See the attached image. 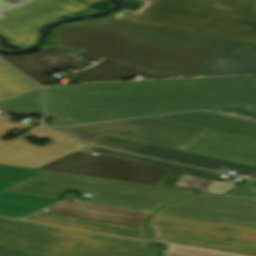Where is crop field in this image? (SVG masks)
<instances>
[{"mask_svg":"<svg viewBox=\"0 0 256 256\" xmlns=\"http://www.w3.org/2000/svg\"><path fill=\"white\" fill-rule=\"evenodd\" d=\"M92 12L96 11L73 0H33L0 12L5 17L0 20V35L23 49L37 40V31L47 23L57 18Z\"/></svg>","mask_w":256,"mask_h":256,"instance_id":"9","label":"crop field"},{"mask_svg":"<svg viewBox=\"0 0 256 256\" xmlns=\"http://www.w3.org/2000/svg\"><path fill=\"white\" fill-rule=\"evenodd\" d=\"M154 252H155V251H154ZM155 255H156V256H159L156 252H155Z\"/></svg>","mask_w":256,"mask_h":256,"instance_id":"30","label":"crop field"},{"mask_svg":"<svg viewBox=\"0 0 256 256\" xmlns=\"http://www.w3.org/2000/svg\"><path fill=\"white\" fill-rule=\"evenodd\" d=\"M156 215L256 228V200L199 192Z\"/></svg>","mask_w":256,"mask_h":256,"instance_id":"10","label":"crop field"},{"mask_svg":"<svg viewBox=\"0 0 256 256\" xmlns=\"http://www.w3.org/2000/svg\"><path fill=\"white\" fill-rule=\"evenodd\" d=\"M156 117L201 127H208L224 132L256 137V122L208 113L204 111Z\"/></svg>","mask_w":256,"mask_h":256,"instance_id":"18","label":"crop field"},{"mask_svg":"<svg viewBox=\"0 0 256 256\" xmlns=\"http://www.w3.org/2000/svg\"><path fill=\"white\" fill-rule=\"evenodd\" d=\"M1 59L15 66L38 84L53 82L43 74L55 70L61 66L80 68L88 65L87 63L73 57L55 46H48L32 56H1Z\"/></svg>","mask_w":256,"mask_h":256,"instance_id":"16","label":"crop field"},{"mask_svg":"<svg viewBox=\"0 0 256 256\" xmlns=\"http://www.w3.org/2000/svg\"><path fill=\"white\" fill-rule=\"evenodd\" d=\"M226 195L256 199V180L248 179Z\"/></svg>","mask_w":256,"mask_h":256,"instance_id":"23","label":"crop field"},{"mask_svg":"<svg viewBox=\"0 0 256 256\" xmlns=\"http://www.w3.org/2000/svg\"><path fill=\"white\" fill-rule=\"evenodd\" d=\"M252 179H256V175L252 177Z\"/></svg>","mask_w":256,"mask_h":256,"instance_id":"29","label":"crop field"},{"mask_svg":"<svg viewBox=\"0 0 256 256\" xmlns=\"http://www.w3.org/2000/svg\"><path fill=\"white\" fill-rule=\"evenodd\" d=\"M153 216H154V215H153ZM151 218H152V217H151ZM150 220H151V219H150ZM149 222H150V221H149ZM146 226H147V224H146ZM147 231H148L149 242H152V243H150L151 246H152L153 248H155V249L159 252V249H158L157 247H154V246H153V244L155 243V241L152 240V239L154 238V232H153V233L151 232V231H153V229L147 226Z\"/></svg>","mask_w":256,"mask_h":256,"instance_id":"25","label":"crop field"},{"mask_svg":"<svg viewBox=\"0 0 256 256\" xmlns=\"http://www.w3.org/2000/svg\"><path fill=\"white\" fill-rule=\"evenodd\" d=\"M52 129L87 143L100 134H108L179 150L204 130L151 118Z\"/></svg>","mask_w":256,"mask_h":256,"instance_id":"7","label":"crop field"},{"mask_svg":"<svg viewBox=\"0 0 256 256\" xmlns=\"http://www.w3.org/2000/svg\"><path fill=\"white\" fill-rule=\"evenodd\" d=\"M183 150L256 165V138L224 133L208 128Z\"/></svg>","mask_w":256,"mask_h":256,"instance_id":"15","label":"crop field"},{"mask_svg":"<svg viewBox=\"0 0 256 256\" xmlns=\"http://www.w3.org/2000/svg\"><path fill=\"white\" fill-rule=\"evenodd\" d=\"M36 86L25 76L0 61V100Z\"/></svg>","mask_w":256,"mask_h":256,"instance_id":"20","label":"crop field"},{"mask_svg":"<svg viewBox=\"0 0 256 256\" xmlns=\"http://www.w3.org/2000/svg\"><path fill=\"white\" fill-rule=\"evenodd\" d=\"M11 114L29 116L43 112L41 89L20 95L0 103Z\"/></svg>","mask_w":256,"mask_h":256,"instance_id":"21","label":"crop field"},{"mask_svg":"<svg viewBox=\"0 0 256 256\" xmlns=\"http://www.w3.org/2000/svg\"><path fill=\"white\" fill-rule=\"evenodd\" d=\"M7 6H10V5H8V4H6V3L0 1V9H1V8H4V7H7Z\"/></svg>","mask_w":256,"mask_h":256,"instance_id":"27","label":"crop field"},{"mask_svg":"<svg viewBox=\"0 0 256 256\" xmlns=\"http://www.w3.org/2000/svg\"><path fill=\"white\" fill-rule=\"evenodd\" d=\"M10 120L0 115V139L10 130L24 127ZM29 131L35 138L39 140L45 138L51 143L42 147L32 145L24 139L29 137L28 133L10 141L0 140V163L36 168L85 146V144L45 128L34 127Z\"/></svg>","mask_w":256,"mask_h":256,"instance_id":"11","label":"crop field"},{"mask_svg":"<svg viewBox=\"0 0 256 256\" xmlns=\"http://www.w3.org/2000/svg\"><path fill=\"white\" fill-rule=\"evenodd\" d=\"M94 194L86 202L154 213L194 191L53 172L12 192L56 199L66 191Z\"/></svg>","mask_w":256,"mask_h":256,"instance_id":"5","label":"crop field"},{"mask_svg":"<svg viewBox=\"0 0 256 256\" xmlns=\"http://www.w3.org/2000/svg\"><path fill=\"white\" fill-rule=\"evenodd\" d=\"M210 111L256 120V108L248 106H232L210 109Z\"/></svg>","mask_w":256,"mask_h":256,"instance_id":"22","label":"crop field"},{"mask_svg":"<svg viewBox=\"0 0 256 256\" xmlns=\"http://www.w3.org/2000/svg\"><path fill=\"white\" fill-rule=\"evenodd\" d=\"M86 147L77 150L74 155L49 162L38 169L58 171L76 175L157 185L167 171L166 168L108 157L104 155H90L84 153ZM83 154L82 157L78 156Z\"/></svg>","mask_w":256,"mask_h":256,"instance_id":"8","label":"crop field"},{"mask_svg":"<svg viewBox=\"0 0 256 256\" xmlns=\"http://www.w3.org/2000/svg\"><path fill=\"white\" fill-rule=\"evenodd\" d=\"M131 20L256 43V0H147Z\"/></svg>","mask_w":256,"mask_h":256,"instance_id":"4","label":"crop field"},{"mask_svg":"<svg viewBox=\"0 0 256 256\" xmlns=\"http://www.w3.org/2000/svg\"><path fill=\"white\" fill-rule=\"evenodd\" d=\"M0 256L155 255L143 229L37 212L0 218Z\"/></svg>","mask_w":256,"mask_h":256,"instance_id":"3","label":"crop field"},{"mask_svg":"<svg viewBox=\"0 0 256 256\" xmlns=\"http://www.w3.org/2000/svg\"><path fill=\"white\" fill-rule=\"evenodd\" d=\"M135 72L109 63H99L72 77L77 82L112 81L114 79L127 78Z\"/></svg>","mask_w":256,"mask_h":256,"instance_id":"19","label":"crop field"},{"mask_svg":"<svg viewBox=\"0 0 256 256\" xmlns=\"http://www.w3.org/2000/svg\"><path fill=\"white\" fill-rule=\"evenodd\" d=\"M125 1H129L131 3H137V2H142L143 4H145L144 2L146 0H125ZM143 7V6H142ZM141 7V8H142ZM139 10V9H138ZM136 11H132V10H129L127 8H125L122 12L112 16V17H115V18H120V19H126V20H130L131 17L135 14Z\"/></svg>","mask_w":256,"mask_h":256,"instance_id":"24","label":"crop field"},{"mask_svg":"<svg viewBox=\"0 0 256 256\" xmlns=\"http://www.w3.org/2000/svg\"><path fill=\"white\" fill-rule=\"evenodd\" d=\"M164 256H256V229L154 216Z\"/></svg>","mask_w":256,"mask_h":256,"instance_id":"6","label":"crop field"},{"mask_svg":"<svg viewBox=\"0 0 256 256\" xmlns=\"http://www.w3.org/2000/svg\"><path fill=\"white\" fill-rule=\"evenodd\" d=\"M89 151L101 153L108 156L119 157L169 168L158 185L174 187L194 191H209L224 194L234 187L232 184H226L214 181L217 172L185 166L172 162L127 154L109 149L99 148L89 145Z\"/></svg>","mask_w":256,"mask_h":256,"instance_id":"13","label":"crop field"},{"mask_svg":"<svg viewBox=\"0 0 256 256\" xmlns=\"http://www.w3.org/2000/svg\"><path fill=\"white\" fill-rule=\"evenodd\" d=\"M50 41L85 50L62 49L85 62H109L139 71L147 79L188 77L142 70L185 76L256 75V44L112 18L60 25Z\"/></svg>","mask_w":256,"mask_h":256,"instance_id":"1","label":"crop field"},{"mask_svg":"<svg viewBox=\"0 0 256 256\" xmlns=\"http://www.w3.org/2000/svg\"><path fill=\"white\" fill-rule=\"evenodd\" d=\"M51 172L0 164V216L19 218L59 200L8 192Z\"/></svg>","mask_w":256,"mask_h":256,"instance_id":"14","label":"crop field"},{"mask_svg":"<svg viewBox=\"0 0 256 256\" xmlns=\"http://www.w3.org/2000/svg\"><path fill=\"white\" fill-rule=\"evenodd\" d=\"M90 144L215 171H218L220 167H223L250 175L256 172V166L253 165L229 162L208 156L190 154L184 151L108 135H100Z\"/></svg>","mask_w":256,"mask_h":256,"instance_id":"12","label":"crop field"},{"mask_svg":"<svg viewBox=\"0 0 256 256\" xmlns=\"http://www.w3.org/2000/svg\"><path fill=\"white\" fill-rule=\"evenodd\" d=\"M148 73V72H147Z\"/></svg>","mask_w":256,"mask_h":256,"instance_id":"31","label":"crop field"},{"mask_svg":"<svg viewBox=\"0 0 256 256\" xmlns=\"http://www.w3.org/2000/svg\"><path fill=\"white\" fill-rule=\"evenodd\" d=\"M47 213L144 228L143 222L148 219L147 214L104 208L74 202L63 201L51 206Z\"/></svg>","mask_w":256,"mask_h":256,"instance_id":"17","label":"crop field"},{"mask_svg":"<svg viewBox=\"0 0 256 256\" xmlns=\"http://www.w3.org/2000/svg\"><path fill=\"white\" fill-rule=\"evenodd\" d=\"M136 75H141V76H143V77H144V79H146V78H145V76H144V75H142L141 73H139V74H136Z\"/></svg>","mask_w":256,"mask_h":256,"instance_id":"28","label":"crop field"},{"mask_svg":"<svg viewBox=\"0 0 256 256\" xmlns=\"http://www.w3.org/2000/svg\"><path fill=\"white\" fill-rule=\"evenodd\" d=\"M5 1H8V2H10V3H12V4H16V3L21 2V1H23V0H5ZM23 2H24V1H23Z\"/></svg>","mask_w":256,"mask_h":256,"instance_id":"26","label":"crop field"},{"mask_svg":"<svg viewBox=\"0 0 256 256\" xmlns=\"http://www.w3.org/2000/svg\"><path fill=\"white\" fill-rule=\"evenodd\" d=\"M47 115L59 126L219 106L256 107V78L146 81L45 87Z\"/></svg>","mask_w":256,"mask_h":256,"instance_id":"2","label":"crop field"}]
</instances>
